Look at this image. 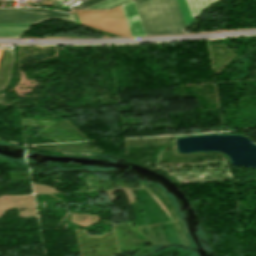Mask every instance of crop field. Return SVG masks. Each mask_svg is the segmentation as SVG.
Returning a JSON list of instances; mask_svg holds the SVG:
<instances>
[{
  "label": "crop field",
  "instance_id": "obj_1",
  "mask_svg": "<svg viewBox=\"0 0 256 256\" xmlns=\"http://www.w3.org/2000/svg\"><path fill=\"white\" fill-rule=\"evenodd\" d=\"M146 35L187 33L176 0H133Z\"/></svg>",
  "mask_w": 256,
  "mask_h": 256
},
{
  "label": "crop field",
  "instance_id": "obj_3",
  "mask_svg": "<svg viewBox=\"0 0 256 256\" xmlns=\"http://www.w3.org/2000/svg\"><path fill=\"white\" fill-rule=\"evenodd\" d=\"M53 19H63L74 22L73 16L67 13L44 9L0 8V22H42Z\"/></svg>",
  "mask_w": 256,
  "mask_h": 256
},
{
  "label": "crop field",
  "instance_id": "obj_8",
  "mask_svg": "<svg viewBox=\"0 0 256 256\" xmlns=\"http://www.w3.org/2000/svg\"><path fill=\"white\" fill-rule=\"evenodd\" d=\"M125 1H128V0H105L87 9H110Z\"/></svg>",
  "mask_w": 256,
  "mask_h": 256
},
{
  "label": "crop field",
  "instance_id": "obj_9",
  "mask_svg": "<svg viewBox=\"0 0 256 256\" xmlns=\"http://www.w3.org/2000/svg\"><path fill=\"white\" fill-rule=\"evenodd\" d=\"M101 1H103V0H88V1H86L84 3H82V4H79V5L75 6V7H73L72 9H85V8H87L89 6H92V5H94V4L98 3V2H101Z\"/></svg>",
  "mask_w": 256,
  "mask_h": 256
},
{
  "label": "crop field",
  "instance_id": "obj_7",
  "mask_svg": "<svg viewBox=\"0 0 256 256\" xmlns=\"http://www.w3.org/2000/svg\"><path fill=\"white\" fill-rule=\"evenodd\" d=\"M177 2L180 7L186 27H188L193 22V20H192L191 14L189 12L186 0H177Z\"/></svg>",
  "mask_w": 256,
  "mask_h": 256
},
{
  "label": "crop field",
  "instance_id": "obj_2",
  "mask_svg": "<svg viewBox=\"0 0 256 256\" xmlns=\"http://www.w3.org/2000/svg\"><path fill=\"white\" fill-rule=\"evenodd\" d=\"M80 23L93 28L115 33L120 37L130 36L120 7L111 10H72Z\"/></svg>",
  "mask_w": 256,
  "mask_h": 256
},
{
  "label": "crop field",
  "instance_id": "obj_5",
  "mask_svg": "<svg viewBox=\"0 0 256 256\" xmlns=\"http://www.w3.org/2000/svg\"><path fill=\"white\" fill-rule=\"evenodd\" d=\"M35 23H0V36L18 37L19 34Z\"/></svg>",
  "mask_w": 256,
  "mask_h": 256
},
{
  "label": "crop field",
  "instance_id": "obj_4",
  "mask_svg": "<svg viewBox=\"0 0 256 256\" xmlns=\"http://www.w3.org/2000/svg\"><path fill=\"white\" fill-rule=\"evenodd\" d=\"M122 9L132 36L145 35L133 2L122 4Z\"/></svg>",
  "mask_w": 256,
  "mask_h": 256
},
{
  "label": "crop field",
  "instance_id": "obj_6",
  "mask_svg": "<svg viewBox=\"0 0 256 256\" xmlns=\"http://www.w3.org/2000/svg\"><path fill=\"white\" fill-rule=\"evenodd\" d=\"M218 0H187L193 20L210 4Z\"/></svg>",
  "mask_w": 256,
  "mask_h": 256
},
{
  "label": "crop field",
  "instance_id": "obj_10",
  "mask_svg": "<svg viewBox=\"0 0 256 256\" xmlns=\"http://www.w3.org/2000/svg\"><path fill=\"white\" fill-rule=\"evenodd\" d=\"M2 49L0 50V53H1Z\"/></svg>",
  "mask_w": 256,
  "mask_h": 256
}]
</instances>
